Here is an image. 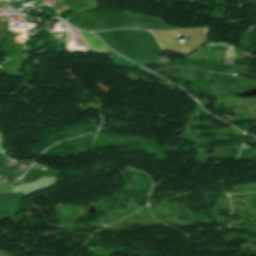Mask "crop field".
Segmentation results:
<instances>
[{
    "mask_svg": "<svg viewBox=\"0 0 256 256\" xmlns=\"http://www.w3.org/2000/svg\"><path fill=\"white\" fill-rule=\"evenodd\" d=\"M79 34L83 38V40L86 42L89 49L99 50L107 53L105 46L101 43V41L98 38H96L92 34L81 32V31H79Z\"/></svg>",
    "mask_w": 256,
    "mask_h": 256,
    "instance_id": "crop-field-1",
    "label": "crop field"
}]
</instances>
